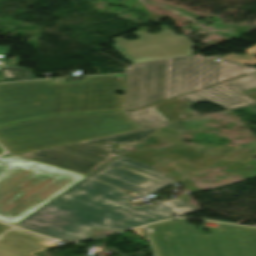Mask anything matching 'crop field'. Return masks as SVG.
<instances>
[{
    "instance_id": "crop-field-16",
    "label": "crop field",
    "mask_w": 256,
    "mask_h": 256,
    "mask_svg": "<svg viewBox=\"0 0 256 256\" xmlns=\"http://www.w3.org/2000/svg\"><path fill=\"white\" fill-rule=\"evenodd\" d=\"M0 47L3 48V51L0 54V58L6 65L4 68L0 70V73L4 78L5 82L35 79L31 70L17 66H12L9 63V61L6 60V56L9 52L10 47Z\"/></svg>"
},
{
    "instance_id": "crop-field-1",
    "label": "crop field",
    "mask_w": 256,
    "mask_h": 256,
    "mask_svg": "<svg viewBox=\"0 0 256 256\" xmlns=\"http://www.w3.org/2000/svg\"><path fill=\"white\" fill-rule=\"evenodd\" d=\"M135 198L91 178H85L16 226L61 240H84L91 227L125 230L171 217L160 205L134 208Z\"/></svg>"
},
{
    "instance_id": "crop-field-6",
    "label": "crop field",
    "mask_w": 256,
    "mask_h": 256,
    "mask_svg": "<svg viewBox=\"0 0 256 256\" xmlns=\"http://www.w3.org/2000/svg\"><path fill=\"white\" fill-rule=\"evenodd\" d=\"M160 127L162 125L47 148L22 156L89 175L123 152L115 148L107 150L90 144L105 140L115 141L114 146L129 144L133 140L146 138Z\"/></svg>"
},
{
    "instance_id": "crop-field-8",
    "label": "crop field",
    "mask_w": 256,
    "mask_h": 256,
    "mask_svg": "<svg viewBox=\"0 0 256 256\" xmlns=\"http://www.w3.org/2000/svg\"><path fill=\"white\" fill-rule=\"evenodd\" d=\"M215 60L195 57L171 59L167 99L256 71V68H242L239 64Z\"/></svg>"
},
{
    "instance_id": "crop-field-20",
    "label": "crop field",
    "mask_w": 256,
    "mask_h": 256,
    "mask_svg": "<svg viewBox=\"0 0 256 256\" xmlns=\"http://www.w3.org/2000/svg\"><path fill=\"white\" fill-rule=\"evenodd\" d=\"M138 141H140V140L133 141V143H132V144H129V145L117 146V147H115V148H119V149L125 150V149H127L128 147H130V146L136 144ZM105 142H108V143H110V144H111V143H114V142H111V141H105ZM103 143H104V142L97 143V144H93V145L100 146V147L107 148V149H110V148L114 147L112 144H111L110 147H108V146L103 145Z\"/></svg>"
},
{
    "instance_id": "crop-field-19",
    "label": "crop field",
    "mask_w": 256,
    "mask_h": 256,
    "mask_svg": "<svg viewBox=\"0 0 256 256\" xmlns=\"http://www.w3.org/2000/svg\"><path fill=\"white\" fill-rule=\"evenodd\" d=\"M245 52H247V55H235L233 53L223 57V59L235 61V62H240L248 65H254L256 64V45L246 49Z\"/></svg>"
},
{
    "instance_id": "crop-field-3",
    "label": "crop field",
    "mask_w": 256,
    "mask_h": 256,
    "mask_svg": "<svg viewBox=\"0 0 256 256\" xmlns=\"http://www.w3.org/2000/svg\"><path fill=\"white\" fill-rule=\"evenodd\" d=\"M85 177L19 157H0V220L16 224Z\"/></svg>"
},
{
    "instance_id": "crop-field-17",
    "label": "crop field",
    "mask_w": 256,
    "mask_h": 256,
    "mask_svg": "<svg viewBox=\"0 0 256 256\" xmlns=\"http://www.w3.org/2000/svg\"><path fill=\"white\" fill-rule=\"evenodd\" d=\"M141 128L168 123L155 109L151 106L139 109L137 111L124 112Z\"/></svg>"
},
{
    "instance_id": "crop-field-12",
    "label": "crop field",
    "mask_w": 256,
    "mask_h": 256,
    "mask_svg": "<svg viewBox=\"0 0 256 256\" xmlns=\"http://www.w3.org/2000/svg\"><path fill=\"white\" fill-rule=\"evenodd\" d=\"M163 175L150 166L120 156L89 176L146 196L176 182Z\"/></svg>"
},
{
    "instance_id": "crop-field-18",
    "label": "crop field",
    "mask_w": 256,
    "mask_h": 256,
    "mask_svg": "<svg viewBox=\"0 0 256 256\" xmlns=\"http://www.w3.org/2000/svg\"><path fill=\"white\" fill-rule=\"evenodd\" d=\"M160 203L177 216L186 214L192 211H196L194 208L189 206L180 198L169 199V200L161 201Z\"/></svg>"
},
{
    "instance_id": "crop-field-24",
    "label": "crop field",
    "mask_w": 256,
    "mask_h": 256,
    "mask_svg": "<svg viewBox=\"0 0 256 256\" xmlns=\"http://www.w3.org/2000/svg\"><path fill=\"white\" fill-rule=\"evenodd\" d=\"M254 112H256V105L250 107Z\"/></svg>"
},
{
    "instance_id": "crop-field-25",
    "label": "crop field",
    "mask_w": 256,
    "mask_h": 256,
    "mask_svg": "<svg viewBox=\"0 0 256 256\" xmlns=\"http://www.w3.org/2000/svg\"><path fill=\"white\" fill-rule=\"evenodd\" d=\"M4 151L0 148V154H2Z\"/></svg>"
},
{
    "instance_id": "crop-field-14",
    "label": "crop field",
    "mask_w": 256,
    "mask_h": 256,
    "mask_svg": "<svg viewBox=\"0 0 256 256\" xmlns=\"http://www.w3.org/2000/svg\"><path fill=\"white\" fill-rule=\"evenodd\" d=\"M57 242L11 227L0 235V256H33Z\"/></svg>"
},
{
    "instance_id": "crop-field-9",
    "label": "crop field",
    "mask_w": 256,
    "mask_h": 256,
    "mask_svg": "<svg viewBox=\"0 0 256 256\" xmlns=\"http://www.w3.org/2000/svg\"><path fill=\"white\" fill-rule=\"evenodd\" d=\"M51 80L0 84V125L48 115Z\"/></svg>"
},
{
    "instance_id": "crop-field-21",
    "label": "crop field",
    "mask_w": 256,
    "mask_h": 256,
    "mask_svg": "<svg viewBox=\"0 0 256 256\" xmlns=\"http://www.w3.org/2000/svg\"><path fill=\"white\" fill-rule=\"evenodd\" d=\"M240 92L243 93L244 95L256 100V90H255V88L247 89V90L240 91ZM246 92H250L251 94H247Z\"/></svg>"
},
{
    "instance_id": "crop-field-7",
    "label": "crop field",
    "mask_w": 256,
    "mask_h": 256,
    "mask_svg": "<svg viewBox=\"0 0 256 256\" xmlns=\"http://www.w3.org/2000/svg\"><path fill=\"white\" fill-rule=\"evenodd\" d=\"M179 133L180 132L162 127L149 136L173 143L175 145L169 146L158 152L146 149L127 157L147 165H151L155 163L154 161L150 160L151 158L162 155L175 160L170 162V166L197 172L209 168L219 160L245 163L256 156V150L230 146H218L208 153L202 155L198 153V149L179 143Z\"/></svg>"
},
{
    "instance_id": "crop-field-23",
    "label": "crop field",
    "mask_w": 256,
    "mask_h": 256,
    "mask_svg": "<svg viewBox=\"0 0 256 256\" xmlns=\"http://www.w3.org/2000/svg\"><path fill=\"white\" fill-rule=\"evenodd\" d=\"M10 226L4 225L0 223V234L7 230Z\"/></svg>"
},
{
    "instance_id": "crop-field-4",
    "label": "crop field",
    "mask_w": 256,
    "mask_h": 256,
    "mask_svg": "<svg viewBox=\"0 0 256 256\" xmlns=\"http://www.w3.org/2000/svg\"><path fill=\"white\" fill-rule=\"evenodd\" d=\"M147 231L156 256H256L252 228L221 224L207 236L181 219L149 225Z\"/></svg>"
},
{
    "instance_id": "crop-field-10",
    "label": "crop field",
    "mask_w": 256,
    "mask_h": 256,
    "mask_svg": "<svg viewBox=\"0 0 256 256\" xmlns=\"http://www.w3.org/2000/svg\"><path fill=\"white\" fill-rule=\"evenodd\" d=\"M163 32L148 34L147 28L139 29L134 34L139 38L127 41L121 37L112 39L117 45L112 46L124 59L143 62L163 58L193 54L194 45L184 35H175L166 25L159 27Z\"/></svg>"
},
{
    "instance_id": "crop-field-22",
    "label": "crop field",
    "mask_w": 256,
    "mask_h": 256,
    "mask_svg": "<svg viewBox=\"0 0 256 256\" xmlns=\"http://www.w3.org/2000/svg\"><path fill=\"white\" fill-rule=\"evenodd\" d=\"M133 232H135L136 234L140 235L141 237H143L144 239L148 240L147 238V234L144 230V228H138V229H132Z\"/></svg>"
},
{
    "instance_id": "crop-field-13",
    "label": "crop field",
    "mask_w": 256,
    "mask_h": 256,
    "mask_svg": "<svg viewBox=\"0 0 256 256\" xmlns=\"http://www.w3.org/2000/svg\"><path fill=\"white\" fill-rule=\"evenodd\" d=\"M251 87H256V72L179 97L191 104L206 101L231 110L256 104L238 92Z\"/></svg>"
},
{
    "instance_id": "crop-field-5",
    "label": "crop field",
    "mask_w": 256,
    "mask_h": 256,
    "mask_svg": "<svg viewBox=\"0 0 256 256\" xmlns=\"http://www.w3.org/2000/svg\"><path fill=\"white\" fill-rule=\"evenodd\" d=\"M126 74L85 77L86 82L52 84L50 114L123 110Z\"/></svg>"
},
{
    "instance_id": "crop-field-11",
    "label": "crop field",
    "mask_w": 256,
    "mask_h": 256,
    "mask_svg": "<svg viewBox=\"0 0 256 256\" xmlns=\"http://www.w3.org/2000/svg\"><path fill=\"white\" fill-rule=\"evenodd\" d=\"M170 59L133 65L127 70L124 110L166 99Z\"/></svg>"
},
{
    "instance_id": "crop-field-2",
    "label": "crop field",
    "mask_w": 256,
    "mask_h": 256,
    "mask_svg": "<svg viewBox=\"0 0 256 256\" xmlns=\"http://www.w3.org/2000/svg\"><path fill=\"white\" fill-rule=\"evenodd\" d=\"M126 115L123 112L58 115L4 126L0 127V144L16 155L139 129Z\"/></svg>"
},
{
    "instance_id": "crop-field-15",
    "label": "crop field",
    "mask_w": 256,
    "mask_h": 256,
    "mask_svg": "<svg viewBox=\"0 0 256 256\" xmlns=\"http://www.w3.org/2000/svg\"><path fill=\"white\" fill-rule=\"evenodd\" d=\"M189 105L191 104L176 97V98L152 105V107H154L167 121L173 122V121L194 118L184 110V108ZM168 108H171V109L168 110ZM168 112H170L171 114H168ZM173 117H176V119H172Z\"/></svg>"
}]
</instances>
